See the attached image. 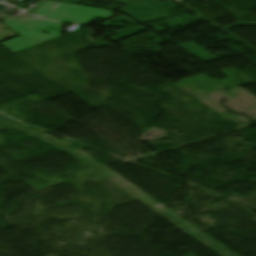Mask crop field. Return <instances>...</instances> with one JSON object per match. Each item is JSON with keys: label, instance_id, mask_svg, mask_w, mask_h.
<instances>
[{"label": "crop field", "instance_id": "1", "mask_svg": "<svg viewBox=\"0 0 256 256\" xmlns=\"http://www.w3.org/2000/svg\"><path fill=\"white\" fill-rule=\"evenodd\" d=\"M63 25L64 24L61 23L42 20L19 34L21 37L5 41L1 43V45L16 53L44 41L63 35L58 31L47 29L48 27L59 29ZM43 31H50L52 33L46 34L43 33Z\"/></svg>", "mask_w": 256, "mask_h": 256}, {"label": "crop field", "instance_id": "2", "mask_svg": "<svg viewBox=\"0 0 256 256\" xmlns=\"http://www.w3.org/2000/svg\"><path fill=\"white\" fill-rule=\"evenodd\" d=\"M112 13V11L60 3L49 19L87 25L98 16L108 17Z\"/></svg>", "mask_w": 256, "mask_h": 256}, {"label": "crop field", "instance_id": "3", "mask_svg": "<svg viewBox=\"0 0 256 256\" xmlns=\"http://www.w3.org/2000/svg\"><path fill=\"white\" fill-rule=\"evenodd\" d=\"M177 48L183 50L184 52L190 54L191 56L197 58L204 63L220 59L219 57L209 53L208 51L204 50L202 47L193 42L180 45Z\"/></svg>", "mask_w": 256, "mask_h": 256}, {"label": "crop field", "instance_id": "4", "mask_svg": "<svg viewBox=\"0 0 256 256\" xmlns=\"http://www.w3.org/2000/svg\"><path fill=\"white\" fill-rule=\"evenodd\" d=\"M40 20L41 19L31 16L27 19L9 18L3 22L6 26H8L10 29H12L13 31L19 34Z\"/></svg>", "mask_w": 256, "mask_h": 256}, {"label": "crop field", "instance_id": "5", "mask_svg": "<svg viewBox=\"0 0 256 256\" xmlns=\"http://www.w3.org/2000/svg\"><path fill=\"white\" fill-rule=\"evenodd\" d=\"M58 4V2L46 0L39 11L36 13V16L48 19Z\"/></svg>", "mask_w": 256, "mask_h": 256}, {"label": "crop field", "instance_id": "6", "mask_svg": "<svg viewBox=\"0 0 256 256\" xmlns=\"http://www.w3.org/2000/svg\"><path fill=\"white\" fill-rule=\"evenodd\" d=\"M12 8L11 6L0 4V14L7 11L8 9Z\"/></svg>", "mask_w": 256, "mask_h": 256}]
</instances>
